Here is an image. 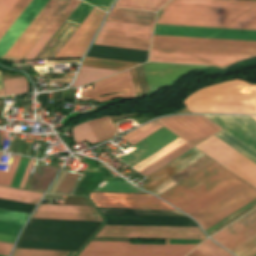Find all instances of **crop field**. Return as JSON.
<instances>
[{"mask_svg":"<svg viewBox=\"0 0 256 256\" xmlns=\"http://www.w3.org/2000/svg\"><path fill=\"white\" fill-rule=\"evenodd\" d=\"M256 203V199L254 201H252L251 203H249L248 205L244 206L243 208H241L240 210H238L237 212H235L234 214L230 215L229 217H227L226 219H224L223 221L219 222L218 224H216L215 226H213L212 228L208 229L207 231H205L207 234L210 233L211 231H213L214 229L218 228L219 226H221L222 224H224L225 222H227L228 220L232 219L233 217H235L236 215H238L239 213H241L242 211L246 210L247 208H249L250 206H252L253 204Z\"/></svg>","mask_w":256,"mask_h":256,"instance_id":"9d1cf04e","label":"crop field"},{"mask_svg":"<svg viewBox=\"0 0 256 256\" xmlns=\"http://www.w3.org/2000/svg\"><path fill=\"white\" fill-rule=\"evenodd\" d=\"M0 88H3L1 73H0Z\"/></svg>","mask_w":256,"mask_h":256,"instance_id":"ae633e8c","label":"crop field"},{"mask_svg":"<svg viewBox=\"0 0 256 256\" xmlns=\"http://www.w3.org/2000/svg\"><path fill=\"white\" fill-rule=\"evenodd\" d=\"M113 73H117V71L81 67L72 87L82 86Z\"/></svg>","mask_w":256,"mask_h":256,"instance_id":"bd1437ed","label":"crop field"},{"mask_svg":"<svg viewBox=\"0 0 256 256\" xmlns=\"http://www.w3.org/2000/svg\"><path fill=\"white\" fill-rule=\"evenodd\" d=\"M189 256H204V255H202L201 253H199L198 251L195 250Z\"/></svg>","mask_w":256,"mask_h":256,"instance_id":"e1d0b9f6","label":"crop field"},{"mask_svg":"<svg viewBox=\"0 0 256 256\" xmlns=\"http://www.w3.org/2000/svg\"><path fill=\"white\" fill-rule=\"evenodd\" d=\"M28 213L16 212L0 209V220L24 224L28 218Z\"/></svg>","mask_w":256,"mask_h":256,"instance_id":"425ffa30","label":"crop field"},{"mask_svg":"<svg viewBox=\"0 0 256 256\" xmlns=\"http://www.w3.org/2000/svg\"><path fill=\"white\" fill-rule=\"evenodd\" d=\"M168 0H118L114 7L158 11Z\"/></svg>","mask_w":256,"mask_h":256,"instance_id":"750c4746","label":"crop field"},{"mask_svg":"<svg viewBox=\"0 0 256 256\" xmlns=\"http://www.w3.org/2000/svg\"><path fill=\"white\" fill-rule=\"evenodd\" d=\"M76 252L15 249L13 256H74Z\"/></svg>","mask_w":256,"mask_h":256,"instance_id":"03da06ac","label":"crop field"},{"mask_svg":"<svg viewBox=\"0 0 256 256\" xmlns=\"http://www.w3.org/2000/svg\"><path fill=\"white\" fill-rule=\"evenodd\" d=\"M154 123H156V122H155V121H152V122H150V123L144 125L143 127H141V128H139V129H137V130H135V131H132V132L128 133L127 135H125V136H123V137H121V138H123L124 140L127 141V140H129L130 138H132V137H134L135 135H137L138 133H140L141 131H143V130H145L146 128H148L149 126L153 125Z\"/></svg>","mask_w":256,"mask_h":256,"instance_id":"0765c3eb","label":"crop field"},{"mask_svg":"<svg viewBox=\"0 0 256 256\" xmlns=\"http://www.w3.org/2000/svg\"><path fill=\"white\" fill-rule=\"evenodd\" d=\"M202 156L204 155L196 149L190 150L189 152L185 153L178 159L165 166L164 168L160 169L153 175L146 178L150 182L140 188L154 195H160L161 193L176 185L174 182L168 179L169 177L176 174L197 159L201 158Z\"/></svg>","mask_w":256,"mask_h":256,"instance_id":"4a817a6b","label":"crop field"},{"mask_svg":"<svg viewBox=\"0 0 256 256\" xmlns=\"http://www.w3.org/2000/svg\"><path fill=\"white\" fill-rule=\"evenodd\" d=\"M183 104L191 113L256 114V85L224 82L197 91Z\"/></svg>","mask_w":256,"mask_h":256,"instance_id":"412701ff","label":"crop field"},{"mask_svg":"<svg viewBox=\"0 0 256 256\" xmlns=\"http://www.w3.org/2000/svg\"><path fill=\"white\" fill-rule=\"evenodd\" d=\"M101 222L30 219L16 248L78 251Z\"/></svg>","mask_w":256,"mask_h":256,"instance_id":"34b2d1b8","label":"crop field"},{"mask_svg":"<svg viewBox=\"0 0 256 256\" xmlns=\"http://www.w3.org/2000/svg\"><path fill=\"white\" fill-rule=\"evenodd\" d=\"M232 148H234L236 151L256 163V152L237 140L235 137L227 133L226 131H221L218 134L214 135Z\"/></svg>","mask_w":256,"mask_h":256,"instance_id":"1d83c4d3","label":"crop field"},{"mask_svg":"<svg viewBox=\"0 0 256 256\" xmlns=\"http://www.w3.org/2000/svg\"><path fill=\"white\" fill-rule=\"evenodd\" d=\"M156 121L194 146L220 129L203 116L167 117Z\"/></svg>","mask_w":256,"mask_h":256,"instance_id":"22f410ed","label":"crop field"},{"mask_svg":"<svg viewBox=\"0 0 256 256\" xmlns=\"http://www.w3.org/2000/svg\"><path fill=\"white\" fill-rule=\"evenodd\" d=\"M156 24L256 30V8L168 3Z\"/></svg>","mask_w":256,"mask_h":256,"instance_id":"ac0d7876","label":"crop field"},{"mask_svg":"<svg viewBox=\"0 0 256 256\" xmlns=\"http://www.w3.org/2000/svg\"><path fill=\"white\" fill-rule=\"evenodd\" d=\"M41 196V193L29 192L0 186V198L37 204Z\"/></svg>","mask_w":256,"mask_h":256,"instance_id":"d3111659","label":"crop field"},{"mask_svg":"<svg viewBox=\"0 0 256 256\" xmlns=\"http://www.w3.org/2000/svg\"><path fill=\"white\" fill-rule=\"evenodd\" d=\"M1 154V153H0Z\"/></svg>","mask_w":256,"mask_h":256,"instance_id":"c3a83c6f","label":"crop field"},{"mask_svg":"<svg viewBox=\"0 0 256 256\" xmlns=\"http://www.w3.org/2000/svg\"><path fill=\"white\" fill-rule=\"evenodd\" d=\"M96 237L205 239L199 228L104 226Z\"/></svg>","mask_w":256,"mask_h":256,"instance_id":"d1516ede","label":"crop field"},{"mask_svg":"<svg viewBox=\"0 0 256 256\" xmlns=\"http://www.w3.org/2000/svg\"><path fill=\"white\" fill-rule=\"evenodd\" d=\"M148 52L92 45L87 56L144 63Z\"/></svg>","mask_w":256,"mask_h":256,"instance_id":"00972430","label":"crop field"},{"mask_svg":"<svg viewBox=\"0 0 256 256\" xmlns=\"http://www.w3.org/2000/svg\"><path fill=\"white\" fill-rule=\"evenodd\" d=\"M242 182L213 162L159 197L191 216Z\"/></svg>","mask_w":256,"mask_h":256,"instance_id":"8a807250","label":"crop field"},{"mask_svg":"<svg viewBox=\"0 0 256 256\" xmlns=\"http://www.w3.org/2000/svg\"><path fill=\"white\" fill-rule=\"evenodd\" d=\"M48 0H32L15 23L10 27L0 40V57L2 58L12 44L17 40L37 13L42 9Z\"/></svg>","mask_w":256,"mask_h":256,"instance_id":"dafd665d","label":"crop field"},{"mask_svg":"<svg viewBox=\"0 0 256 256\" xmlns=\"http://www.w3.org/2000/svg\"><path fill=\"white\" fill-rule=\"evenodd\" d=\"M245 58L249 57L151 51L149 61L204 64L226 67Z\"/></svg>","mask_w":256,"mask_h":256,"instance_id":"bc2a9ffb","label":"crop field"},{"mask_svg":"<svg viewBox=\"0 0 256 256\" xmlns=\"http://www.w3.org/2000/svg\"><path fill=\"white\" fill-rule=\"evenodd\" d=\"M105 11H108L114 0H85Z\"/></svg>","mask_w":256,"mask_h":256,"instance_id":"447ae74e","label":"crop field"},{"mask_svg":"<svg viewBox=\"0 0 256 256\" xmlns=\"http://www.w3.org/2000/svg\"><path fill=\"white\" fill-rule=\"evenodd\" d=\"M154 34L256 41V31L156 25Z\"/></svg>","mask_w":256,"mask_h":256,"instance_id":"733c2abd","label":"crop field"},{"mask_svg":"<svg viewBox=\"0 0 256 256\" xmlns=\"http://www.w3.org/2000/svg\"><path fill=\"white\" fill-rule=\"evenodd\" d=\"M190 148H192V146H190L189 144L186 143L140 173H142L145 176H148L151 173H153L154 171H156L159 168H161L162 166H164L165 164H167L168 162L172 161L173 159H175L176 157L181 155L182 153L189 150Z\"/></svg>","mask_w":256,"mask_h":256,"instance_id":"0bd39190","label":"crop field"},{"mask_svg":"<svg viewBox=\"0 0 256 256\" xmlns=\"http://www.w3.org/2000/svg\"><path fill=\"white\" fill-rule=\"evenodd\" d=\"M196 249L201 251L206 256H232L227 251L222 249L217 244L213 243L210 240L204 241L200 246H198Z\"/></svg>","mask_w":256,"mask_h":256,"instance_id":"d23c7cc5","label":"crop field"},{"mask_svg":"<svg viewBox=\"0 0 256 256\" xmlns=\"http://www.w3.org/2000/svg\"><path fill=\"white\" fill-rule=\"evenodd\" d=\"M32 218L102 221L99 215L35 212Z\"/></svg>","mask_w":256,"mask_h":256,"instance_id":"5866460e","label":"crop field"},{"mask_svg":"<svg viewBox=\"0 0 256 256\" xmlns=\"http://www.w3.org/2000/svg\"><path fill=\"white\" fill-rule=\"evenodd\" d=\"M16 237L15 236H9V235H4L0 234V241H6V242H15Z\"/></svg>","mask_w":256,"mask_h":256,"instance_id":"0f1d7ab4","label":"crop field"},{"mask_svg":"<svg viewBox=\"0 0 256 256\" xmlns=\"http://www.w3.org/2000/svg\"><path fill=\"white\" fill-rule=\"evenodd\" d=\"M30 2L31 0H18L9 13L4 17L0 22V39Z\"/></svg>","mask_w":256,"mask_h":256,"instance_id":"d32e631a","label":"crop field"},{"mask_svg":"<svg viewBox=\"0 0 256 256\" xmlns=\"http://www.w3.org/2000/svg\"><path fill=\"white\" fill-rule=\"evenodd\" d=\"M80 0H71L67 7L62 11L46 33L41 37L37 44L32 48V50L26 55L24 59H34L35 56L40 52L48 40L53 36L61 24L66 20L74 8L79 4Z\"/></svg>","mask_w":256,"mask_h":256,"instance_id":"4177f3b9","label":"crop field"},{"mask_svg":"<svg viewBox=\"0 0 256 256\" xmlns=\"http://www.w3.org/2000/svg\"><path fill=\"white\" fill-rule=\"evenodd\" d=\"M151 50L256 56V42L154 35Z\"/></svg>","mask_w":256,"mask_h":256,"instance_id":"f4fd0767","label":"crop field"},{"mask_svg":"<svg viewBox=\"0 0 256 256\" xmlns=\"http://www.w3.org/2000/svg\"><path fill=\"white\" fill-rule=\"evenodd\" d=\"M256 151V121L249 116L204 115Z\"/></svg>","mask_w":256,"mask_h":256,"instance_id":"214f88e0","label":"crop field"},{"mask_svg":"<svg viewBox=\"0 0 256 256\" xmlns=\"http://www.w3.org/2000/svg\"><path fill=\"white\" fill-rule=\"evenodd\" d=\"M80 100H89V99H81V98H80Z\"/></svg>","mask_w":256,"mask_h":256,"instance_id":"c5b07064","label":"crop field"},{"mask_svg":"<svg viewBox=\"0 0 256 256\" xmlns=\"http://www.w3.org/2000/svg\"><path fill=\"white\" fill-rule=\"evenodd\" d=\"M195 247L90 242L79 256H186Z\"/></svg>","mask_w":256,"mask_h":256,"instance_id":"e52e79f7","label":"crop field"},{"mask_svg":"<svg viewBox=\"0 0 256 256\" xmlns=\"http://www.w3.org/2000/svg\"><path fill=\"white\" fill-rule=\"evenodd\" d=\"M124 91H128V92L110 95V96L96 97V96L105 95L109 93L124 92ZM80 96L89 97L90 99H97L99 103L117 99V98L129 99V98L137 97L131 77H130L129 70L122 72L120 74L102 79L100 81L94 82L93 89L86 92H82Z\"/></svg>","mask_w":256,"mask_h":256,"instance_id":"d9b57169","label":"crop field"},{"mask_svg":"<svg viewBox=\"0 0 256 256\" xmlns=\"http://www.w3.org/2000/svg\"><path fill=\"white\" fill-rule=\"evenodd\" d=\"M70 0H49L4 57L23 59Z\"/></svg>","mask_w":256,"mask_h":256,"instance_id":"3316defc","label":"crop field"},{"mask_svg":"<svg viewBox=\"0 0 256 256\" xmlns=\"http://www.w3.org/2000/svg\"><path fill=\"white\" fill-rule=\"evenodd\" d=\"M255 198L256 190L244 182L191 217L205 231Z\"/></svg>","mask_w":256,"mask_h":256,"instance_id":"d8731c3e","label":"crop field"},{"mask_svg":"<svg viewBox=\"0 0 256 256\" xmlns=\"http://www.w3.org/2000/svg\"><path fill=\"white\" fill-rule=\"evenodd\" d=\"M184 143H186V142H184L178 138L175 141H173L172 143H170L167 146H165L164 148H162L161 150H159L158 152L154 153L153 155H151L150 157L145 159L144 161L140 162L133 168L140 172L143 169L150 166L151 164H153L154 162H156L159 159H161L162 157H164L165 155H167L168 153L172 152L179 146L183 145Z\"/></svg>","mask_w":256,"mask_h":256,"instance_id":"120bbe31","label":"crop field"},{"mask_svg":"<svg viewBox=\"0 0 256 256\" xmlns=\"http://www.w3.org/2000/svg\"><path fill=\"white\" fill-rule=\"evenodd\" d=\"M28 160H29L28 158H26L24 156L22 157L20 164L18 166V169L15 173V176H14L13 181L10 186L16 187V188L19 187V184L21 182V179H22L23 173L25 171L26 165L28 163Z\"/></svg>","mask_w":256,"mask_h":256,"instance_id":"dbb93151","label":"crop field"},{"mask_svg":"<svg viewBox=\"0 0 256 256\" xmlns=\"http://www.w3.org/2000/svg\"><path fill=\"white\" fill-rule=\"evenodd\" d=\"M88 125L98 142L114 136L117 132L110 117L90 121Z\"/></svg>","mask_w":256,"mask_h":256,"instance_id":"ae1a2a85","label":"crop field"},{"mask_svg":"<svg viewBox=\"0 0 256 256\" xmlns=\"http://www.w3.org/2000/svg\"><path fill=\"white\" fill-rule=\"evenodd\" d=\"M33 161H34V160H31V159L29 160V163H28V165H27L25 174H24V176H23L22 182H21L20 187H19V188H21V189L24 188V185H25V183H26V180H27L28 174H29V172H30L31 166H32V164H33Z\"/></svg>","mask_w":256,"mask_h":256,"instance_id":"78b8030e","label":"crop field"},{"mask_svg":"<svg viewBox=\"0 0 256 256\" xmlns=\"http://www.w3.org/2000/svg\"><path fill=\"white\" fill-rule=\"evenodd\" d=\"M153 27L104 22L94 44L148 51Z\"/></svg>","mask_w":256,"mask_h":256,"instance_id":"5a996713","label":"crop field"},{"mask_svg":"<svg viewBox=\"0 0 256 256\" xmlns=\"http://www.w3.org/2000/svg\"><path fill=\"white\" fill-rule=\"evenodd\" d=\"M97 206L175 210L150 195L91 193ZM103 214L185 216L178 211L98 207Z\"/></svg>","mask_w":256,"mask_h":256,"instance_id":"dd49c442","label":"crop field"},{"mask_svg":"<svg viewBox=\"0 0 256 256\" xmlns=\"http://www.w3.org/2000/svg\"><path fill=\"white\" fill-rule=\"evenodd\" d=\"M170 2L193 3V4H209V5H225V6H241V7H256V2L228 1V0H171Z\"/></svg>","mask_w":256,"mask_h":256,"instance_id":"b80d0937","label":"crop field"},{"mask_svg":"<svg viewBox=\"0 0 256 256\" xmlns=\"http://www.w3.org/2000/svg\"><path fill=\"white\" fill-rule=\"evenodd\" d=\"M105 14L94 8L54 58L82 57Z\"/></svg>","mask_w":256,"mask_h":256,"instance_id":"5142ce71","label":"crop field"},{"mask_svg":"<svg viewBox=\"0 0 256 256\" xmlns=\"http://www.w3.org/2000/svg\"><path fill=\"white\" fill-rule=\"evenodd\" d=\"M196 148L256 188V165L233 150L234 148L214 136Z\"/></svg>","mask_w":256,"mask_h":256,"instance_id":"28ad6ade","label":"crop field"},{"mask_svg":"<svg viewBox=\"0 0 256 256\" xmlns=\"http://www.w3.org/2000/svg\"><path fill=\"white\" fill-rule=\"evenodd\" d=\"M5 95L27 92L28 85L25 77L3 81Z\"/></svg>","mask_w":256,"mask_h":256,"instance_id":"c035e120","label":"crop field"},{"mask_svg":"<svg viewBox=\"0 0 256 256\" xmlns=\"http://www.w3.org/2000/svg\"><path fill=\"white\" fill-rule=\"evenodd\" d=\"M200 240H167L166 244H197ZM203 240H201L198 244H200ZM197 244V245H198Z\"/></svg>","mask_w":256,"mask_h":256,"instance_id":"7b73153f","label":"crop field"},{"mask_svg":"<svg viewBox=\"0 0 256 256\" xmlns=\"http://www.w3.org/2000/svg\"><path fill=\"white\" fill-rule=\"evenodd\" d=\"M94 191L143 192L128 182H102Z\"/></svg>","mask_w":256,"mask_h":256,"instance_id":"c21b1889","label":"crop field"},{"mask_svg":"<svg viewBox=\"0 0 256 256\" xmlns=\"http://www.w3.org/2000/svg\"><path fill=\"white\" fill-rule=\"evenodd\" d=\"M37 211L97 214L93 207L40 204Z\"/></svg>","mask_w":256,"mask_h":256,"instance_id":"e1f06a70","label":"crop field"},{"mask_svg":"<svg viewBox=\"0 0 256 256\" xmlns=\"http://www.w3.org/2000/svg\"><path fill=\"white\" fill-rule=\"evenodd\" d=\"M73 136L75 143L86 140L90 144L97 143L96 138L94 137L93 133L91 132L90 128L88 127L87 123H82L75 126L73 131Z\"/></svg>","mask_w":256,"mask_h":256,"instance_id":"5d738f31","label":"crop field"},{"mask_svg":"<svg viewBox=\"0 0 256 256\" xmlns=\"http://www.w3.org/2000/svg\"><path fill=\"white\" fill-rule=\"evenodd\" d=\"M160 126L159 124H154L153 126L149 127L148 129H146L145 131H143L142 133L138 134L137 136H135L134 138L130 139L129 141H127L128 143H130L131 145L135 144L136 142L140 141L141 139H143L144 137L148 136L149 134H151L152 132H154L155 130L159 129Z\"/></svg>","mask_w":256,"mask_h":256,"instance_id":"0fb4a251","label":"crop field"},{"mask_svg":"<svg viewBox=\"0 0 256 256\" xmlns=\"http://www.w3.org/2000/svg\"><path fill=\"white\" fill-rule=\"evenodd\" d=\"M4 95L3 89H0V96Z\"/></svg>","mask_w":256,"mask_h":256,"instance_id":"d14b1444","label":"crop field"},{"mask_svg":"<svg viewBox=\"0 0 256 256\" xmlns=\"http://www.w3.org/2000/svg\"><path fill=\"white\" fill-rule=\"evenodd\" d=\"M252 118H254L256 120V116H251Z\"/></svg>","mask_w":256,"mask_h":256,"instance_id":"ade564c9","label":"crop field"},{"mask_svg":"<svg viewBox=\"0 0 256 256\" xmlns=\"http://www.w3.org/2000/svg\"><path fill=\"white\" fill-rule=\"evenodd\" d=\"M255 221L256 209L251 211L244 217L240 218L230 226L226 227L219 233L215 234L214 236H212L211 239L215 240L220 244Z\"/></svg>","mask_w":256,"mask_h":256,"instance_id":"eef30255","label":"crop field"},{"mask_svg":"<svg viewBox=\"0 0 256 256\" xmlns=\"http://www.w3.org/2000/svg\"><path fill=\"white\" fill-rule=\"evenodd\" d=\"M34 207H35L34 204L0 199V208L31 213Z\"/></svg>","mask_w":256,"mask_h":256,"instance_id":"25e5ab78","label":"crop field"},{"mask_svg":"<svg viewBox=\"0 0 256 256\" xmlns=\"http://www.w3.org/2000/svg\"><path fill=\"white\" fill-rule=\"evenodd\" d=\"M22 225L0 221V233L17 236Z\"/></svg>","mask_w":256,"mask_h":256,"instance_id":"1f2cbd36","label":"crop field"},{"mask_svg":"<svg viewBox=\"0 0 256 256\" xmlns=\"http://www.w3.org/2000/svg\"><path fill=\"white\" fill-rule=\"evenodd\" d=\"M79 175L68 172L62 183L59 185L55 193L70 194L76 185ZM79 180V179H78Z\"/></svg>","mask_w":256,"mask_h":256,"instance_id":"73cf0c24","label":"crop field"},{"mask_svg":"<svg viewBox=\"0 0 256 256\" xmlns=\"http://www.w3.org/2000/svg\"><path fill=\"white\" fill-rule=\"evenodd\" d=\"M14 244L0 242V255L8 256Z\"/></svg>","mask_w":256,"mask_h":256,"instance_id":"db79e9e6","label":"crop field"},{"mask_svg":"<svg viewBox=\"0 0 256 256\" xmlns=\"http://www.w3.org/2000/svg\"><path fill=\"white\" fill-rule=\"evenodd\" d=\"M16 2L17 0H0V21Z\"/></svg>","mask_w":256,"mask_h":256,"instance_id":"1d79db26","label":"crop field"},{"mask_svg":"<svg viewBox=\"0 0 256 256\" xmlns=\"http://www.w3.org/2000/svg\"><path fill=\"white\" fill-rule=\"evenodd\" d=\"M244 1H256V0H244Z\"/></svg>","mask_w":256,"mask_h":256,"instance_id":"c39391a2","label":"crop field"},{"mask_svg":"<svg viewBox=\"0 0 256 256\" xmlns=\"http://www.w3.org/2000/svg\"><path fill=\"white\" fill-rule=\"evenodd\" d=\"M176 138L178 137L162 127L140 142L133 145L137 149L131 151V155L128 156L126 154L120 159L132 167Z\"/></svg>","mask_w":256,"mask_h":256,"instance_id":"92a150f3","label":"crop field"},{"mask_svg":"<svg viewBox=\"0 0 256 256\" xmlns=\"http://www.w3.org/2000/svg\"><path fill=\"white\" fill-rule=\"evenodd\" d=\"M22 156L15 155L8 172L0 171V185L9 186Z\"/></svg>","mask_w":256,"mask_h":256,"instance_id":"89e229c0","label":"crop field"},{"mask_svg":"<svg viewBox=\"0 0 256 256\" xmlns=\"http://www.w3.org/2000/svg\"><path fill=\"white\" fill-rule=\"evenodd\" d=\"M142 67L152 95L163 88L174 87L182 77L193 71L208 68L204 66L157 63H148Z\"/></svg>","mask_w":256,"mask_h":256,"instance_id":"cbeb9de0","label":"crop field"},{"mask_svg":"<svg viewBox=\"0 0 256 256\" xmlns=\"http://www.w3.org/2000/svg\"><path fill=\"white\" fill-rule=\"evenodd\" d=\"M255 235H256V222L248 226L241 232L237 233L236 235H234L233 237H231L230 239H228L227 241L223 242L220 245H222L223 247L231 251Z\"/></svg>","mask_w":256,"mask_h":256,"instance_id":"028f5c9d","label":"crop field"},{"mask_svg":"<svg viewBox=\"0 0 256 256\" xmlns=\"http://www.w3.org/2000/svg\"><path fill=\"white\" fill-rule=\"evenodd\" d=\"M93 8L94 7L81 1L76 9L67 18L66 22L79 26Z\"/></svg>","mask_w":256,"mask_h":256,"instance_id":"b54c1fbb","label":"crop field"},{"mask_svg":"<svg viewBox=\"0 0 256 256\" xmlns=\"http://www.w3.org/2000/svg\"><path fill=\"white\" fill-rule=\"evenodd\" d=\"M59 168L38 163L28 189L45 192Z\"/></svg>","mask_w":256,"mask_h":256,"instance_id":"730fd06b","label":"crop field"},{"mask_svg":"<svg viewBox=\"0 0 256 256\" xmlns=\"http://www.w3.org/2000/svg\"><path fill=\"white\" fill-rule=\"evenodd\" d=\"M155 13L113 8L106 21L153 26Z\"/></svg>","mask_w":256,"mask_h":256,"instance_id":"a9b5d70f","label":"crop field"}]
</instances>
